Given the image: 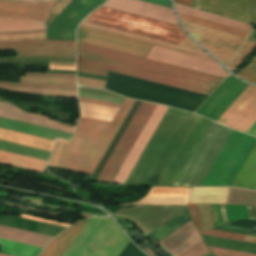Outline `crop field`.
<instances>
[{
  "instance_id": "b54c1fbb",
  "label": "crop field",
  "mask_w": 256,
  "mask_h": 256,
  "mask_svg": "<svg viewBox=\"0 0 256 256\" xmlns=\"http://www.w3.org/2000/svg\"><path fill=\"white\" fill-rule=\"evenodd\" d=\"M250 23L256 24V0H248Z\"/></svg>"
},
{
  "instance_id": "5d738f31",
  "label": "crop field",
  "mask_w": 256,
  "mask_h": 256,
  "mask_svg": "<svg viewBox=\"0 0 256 256\" xmlns=\"http://www.w3.org/2000/svg\"><path fill=\"white\" fill-rule=\"evenodd\" d=\"M216 228H222V229H228V230H233V231L245 232V233H250V234H256V230L233 227V226H227V225L219 226V227H216Z\"/></svg>"
},
{
  "instance_id": "750c4746",
  "label": "crop field",
  "mask_w": 256,
  "mask_h": 256,
  "mask_svg": "<svg viewBox=\"0 0 256 256\" xmlns=\"http://www.w3.org/2000/svg\"><path fill=\"white\" fill-rule=\"evenodd\" d=\"M0 88L11 90V91H17V92L34 93V94H42V95H49V96L77 97L76 91H69V90L31 89V88L10 87V86H4V85H0Z\"/></svg>"
},
{
  "instance_id": "730fd06b",
  "label": "crop field",
  "mask_w": 256,
  "mask_h": 256,
  "mask_svg": "<svg viewBox=\"0 0 256 256\" xmlns=\"http://www.w3.org/2000/svg\"><path fill=\"white\" fill-rule=\"evenodd\" d=\"M205 244L209 246L233 249L238 251L256 253V245L232 240L220 239L201 235Z\"/></svg>"
},
{
  "instance_id": "00972430",
  "label": "crop field",
  "mask_w": 256,
  "mask_h": 256,
  "mask_svg": "<svg viewBox=\"0 0 256 256\" xmlns=\"http://www.w3.org/2000/svg\"><path fill=\"white\" fill-rule=\"evenodd\" d=\"M0 139L50 151L54 142L0 129Z\"/></svg>"
},
{
  "instance_id": "d3111659",
  "label": "crop field",
  "mask_w": 256,
  "mask_h": 256,
  "mask_svg": "<svg viewBox=\"0 0 256 256\" xmlns=\"http://www.w3.org/2000/svg\"><path fill=\"white\" fill-rule=\"evenodd\" d=\"M227 204L256 206V192L231 188Z\"/></svg>"
},
{
  "instance_id": "0765c3eb",
  "label": "crop field",
  "mask_w": 256,
  "mask_h": 256,
  "mask_svg": "<svg viewBox=\"0 0 256 256\" xmlns=\"http://www.w3.org/2000/svg\"><path fill=\"white\" fill-rule=\"evenodd\" d=\"M220 208H221L222 220H223V223H225V222H227L225 207H224V205H220Z\"/></svg>"
},
{
  "instance_id": "8a807250",
  "label": "crop field",
  "mask_w": 256,
  "mask_h": 256,
  "mask_svg": "<svg viewBox=\"0 0 256 256\" xmlns=\"http://www.w3.org/2000/svg\"><path fill=\"white\" fill-rule=\"evenodd\" d=\"M209 124L168 108L125 184L174 186Z\"/></svg>"
},
{
  "instance_id": "f4fd0767",
  "label": "crop field",
  "mask_w": 256,
  "mask_h": 256,
  "mask_svg": "<svg viewBox=\"0 0 256 256\" xmlns=\"http://www.w3.org/2000/svg\"><path fill=\"white\" fill-rule=\"evenodd\" d=\"M77 40L110 48L113 50L145 57L151 50L152 46L79 28L77 29ZM147 58L184 67L187 69L219 76L225 78L229 73H227L217 62L155 47L148 54Z\"/></svg>"
},
{
  "instance_id": "ae1a2a85",
  "label": "crop field",
  "mask_w": 256,
  "mask_h": 256,
  "mask_svg": "<svg viewBox=\"0 0 256 256\" xmlns=\"http://www.w3.org/2000/svg\"><path fill=\"white\" fill-rule=\"evenodd\" d=\"M44 22L0 18V31L45 29Z\"/></svg>"
},
{
  "instance_id": "b80d0937",
  "label": "crop field",
  "mask_w": 256,
  "mask_h": 256,
  "mask_svg": "<svg viewBox=\"0 0 256 256\" xmlns=\"http://www.w3.org/2000/svg\"><path fill=\"white\" fill-rule=\"evenodd\" d=\"M208 252H210V251L206 248V246L203 244V242H200L199 244H197L196 246H194L193 248L186 251L185 253H183L180 256H204Z\"/></svg>"
},
{
  "instance_id": "bd1437ed",
  "label": "crop field",
  "mask_w": 256,
  "mask_h": 256,
  "mask_svg": "<svg viewBox=\"0 0 256 256\" xmlns=\"http://www.w3.org/2000/svg\"><path fill=\"white\" fill-rule=\"evenodd\" d=\"M79 27H83V28H87V29H91V30H95V31H99V32H103V33H107V34H111V35H115V36H119V37H123V38H127V39H131V40H135V41H139V42H143V43H147V44H151V45H155V46H159V47H163V48H167V49H171V50H175V51H179V52H183V53H187V54H191V55H195V56H199V57H203V58L213 60L211 57L204 56V55H201V54H197V53H193V52H189V51H185V50H181V49H177V48H173V47H169V46H165V45L145 41V40H142V39H138V38H134V37L118 34V33H113V32H109V31L97 29V28L82 25V24H80Z\"/></svg>"
},
{
  "instance_id": "028f5c9d",
  "label": "crop field",
  "mask_w": 256,
  "mask_h": 256,
  "mask_svg": "<svg viewBox=\"0 0 256 256\" xmlns=\"http://www.w3.org/2000/svg\"><path fill=\"white\" fill-rule=\"evenodd\" d=\"M238 77L256 84V56L251 63L236 74Z\"/></svg>"
},
{
  "instance_id": "425ffa30",
  "label": "crop field",
  "mask_w": 256,
  "mask_h": 256,
  "mask_svg": "<svg viewBox=\"0 0 256 256\" xmlns=\"http://www.w3.org/2000/svg\"><path fill=\"white\" fill-rule=\"evenodd\" d=\"M71 0H61L52 9L51 13L58 15L59 12L70 2Z\"/></svg>"
},
{
  "instance_id": "d8731c3e",
  "label": "crop field",
  "mask_w": 256,
  "mask_h": 256,
  "mask_svg": "<svg viewBox=\"0 0 256 256\" xmlns=\"http://www.w3.org/2000/svg\"><path fill=\"white\" fill-rule=\"evenodd\" d=\"M103 2L101 0H72L56 17L52 25L46 26V39L75 41L77 24Z\"/></svg>"
},
{
  "instance_id": "03da06ac",
  "label": "crop field",
  "mask_w": 256,
  "mask_h": 256,
  "mask_svg": "<svg viewBox=\"0 0 256 256\" xmlns=\"http://www.w3.org/2000/svg\"><path fill=\"white\" fill-rule=\"evenodd\" d=\"M104 84L105 83H103V82H97V81H91V80H85V79L78 78V85H82V86L104 89Z\"/></svg>"
},
{
  "instance_id": "d9b57169",
  "label": "crop field",
  "mask_w": 256,
  "mask_h": 256,
  "mask_svg": "<svg viewBox=\"0 0 256 256\" xmlns=\"http://www.w3.org/2000/svg\"><path fill=\"white\" fill-rule=\"evenodd\" d=\"M201 240L198 231L192 225L191 221H188L164 240L159 241V244L174 256H179Z\"/></svg>"
},
{
  "instance_id": "cbeb9de0",
  "label": "crop field",
  "mask_w": 256,
  "mask_h": 256,
  "mask_svg": "<svg viewBox=\"0 0 256 256\" xmlns=\"http://www.w3.org/2000/svg\"><path fill=\"white\" fill-rule=\"evenodd\" d=\"M103 7L179 25L171 8L140 0H109Z\"/></svg>"
},
{
  "instance_id": "1d83c4d3",
  "label": "crop field",
  "mask_w": 256,
  "mask_h": 256,
  "mask_svg": "<svg viewBox=\"0 0 256 256\" xmlns=\"http://www.w3.org/2000/svg\"><path fill=\"white\" fill-rule=\"evenodd\" d=\"M69 143L70 142L61 141V140L56 141V144L48 165L58 167V168L61 167L67 148L69 146Z\"/></svg>"
},
{
  "instance_id": "dd49c442",
  "label": "crop field",
  "mask_w": 256,
  "mask_h": 256,
  "mask_svg": "<svg viewBox=\"0 0 256 256\" xmlns=\"http://www.w3.org/2000/svg\"><path fill=\"white\" fill-rule=\"evenodd\" d=\"M84 21L203 51L177 25L103 7L90 13Z\"/></svg>"
},
{
  "instance_id": "eef30255",
  "label": "crop field",
  "mask_w": 256,
  "mask_h": 256,
  "mask_svg": "<svg viewBox=\"0 0 256 256\" xmlns=\"http://www.w3.org/2000/svg\"><path fill=\"white\" fill-rule=\"evenodd\" d=\"M1 250L4 253L16 256H38L42 251L41 248L23 245L0 239Z\"/></svg>"
},
{
  "instance_id": "3316defc",
  "label": "crop field",
  "mask_w": 256,
  "mask_h": 256,
  "mask_svg": "<svg viewBox=\"0 0 256 256\" xmlns=\"http://www.w3.org/2000/svg\"><path fill=\"white\" fill-rule=\"evenodd\" d=\"M256 120V87L249 85L217 122L245 132Z\"/></svg>"
},
{
  "instance_id": "412701ff",
  "label": "crop field",
  "mask_w": 256,
  "mask_h": 256,
  "mask_svg": "<svg viewBox=\"0 0 256 256\" xmlns=\"http://www.w3.org/2000/svg\"><path fill=\"white\" fill-rule=\"evenodd\" d=\"M155 107L156 104L141 102L123 136L121 137L100 176L98 177V182L112 183L117 171L122 165L124 159L135 143L137 137L139 136ZM166 110L167 107L157 105L139 138L128 154L126 160L118 171L113 183L124 184Z\"/></svg>"
},
{
  "instance_id": "e1f06a70",
  "label": "crop field",
  "mask_w": 256,
  "mask_h": 256,
  "mask_svg": "<svg viewBox=\"0 0 256 256\" xmlns=\"http://www.w3.org/2000/svg\"><path fill=\"white\" fill-rule=\"evenodd\" d=\"M256 46V42L253 41H247L245 46L242 48L240 53L237 55V57L234 59V61L231 63V65L228 67L232 72L233 70L241 64L243 59L252 51V49Z\"/></svg>"
},
{
  "instance_id": "214f88e0",
  "label": "crop field",
  "mask_w": 256,
  "mask_h": 256,
  "mask_svg": "<svg viewBox=\"0 0 256 256\" xmlns=\"http://www.w3.org/2000/svg\"><path fill=\"white\" fill-rule=\"evenodd\" d=\"M231 186L240 188L256 187V143L236 175Z\"/></svg>"
},
{
  "instance_id": "e1d0b9f6",
  "label": "crop field",
  "mask_w": 256,
  "mask_h": 256,
  "mask_svg": "<svg viewBox=\"0 0 256 256\" xmlns=\"http://www.w3.org/2000/svg\"><path fill=\"white\" fill-rule=\"evenodd\" d=\"M206 256H214V255L210 252Z\"/></svg>"
},
{
  "instance_id": "1d79db26",
  "label": "crop field",
  "mask_w": 256,
  "mask_h": 256,
  "mask_svg": "<svg viewBox=\"0 0 256 256\" xmlns=\"http://www.w3.org/2000/svg\"><path fill=\"white\" fill-rule=\"evenodd\" d=\"M214 206H215V212H216V217H217V223L219 225V224L222 223L221 214H220V208H219L218 204H214Z\"/></svg>"
},
{
  "instance_id": "0fb4a251",
  "label": "crop field",
  "mask_w": 256,
  "mask_h": 256,
  "mask_svg": "<svg viewBox=\"0 0 256 256\" xmlns=\"http://www.w3.org/2000/svg\"><path fill=\"white\" fill-rule=\"evenodd\" d=\"M173 1L181 3V4H185V5H188V6H192V0H173ZM193 6L197 8L196 0H193Z\"/></svg>"
},
{
  "instance_id": "c035e120",
  "label": "crop field",
  "mask_w": 256,
  "mask_h": 256,
  "mask_svg": "<svg viewBox=\"0 0 256 256\" xmlns=\"http://www.w3.org/2000/svg\"><path fill=\"white\" fill-rule=\"evenodd\" d=\"M82 24H86V25H90V26H94V27H98V28H102V29H106V30H110V31L126 34V35H131V36H135V37H139V38H143V39H147V40H151V41H155V42H159V43H163V44H167V45L183 48V49H186V50H190V51H193V52H197V53L208 55L205 52H201V51H197V50H193V49H189V48H185V47H181V46H177V45H173V44H169V43H165V42H161V41H157V40L141 37V36H137V35H133V34H129V33L121 32V31H117V30H113V29H109V28H105V27H101V26H97V25H93V24H89V23H85V22H82Z\"/></svg>"
},
{
  "instance_id": "5866460e",
  "label": "crop field",
  "mask_w": 256,
  "mask_h": 256,
  "mask_svg": "<svg viewBox=\"0 0 256 256\" xmlns=\"http://www.w3.org/2000/svg\"><path fill=\"white\" fill-rule=\"evenodd\" d=\"M200 234L256 243V238H253V237L230 234V233L220 232V231L211 230V229H207L205 231H202V232H200Z\"/></svg>"
},
{
  "instance_id": "22f410ed",
  "label": "crop field",
  "mask_w": 256,
  "mask_h": 256,
  "mask_svg": "<svg viewBox=\"0 0 256 256\" xmlns=\"http://www.w3.org/2000/svg\"><path fill=\"white\" fill-rule=\"evenodd\" d=\"M56 1L0 0V17L46 21Z\"/></svg>"
},
{
  "instance_id": "ae633e8c",
  "label": "crop field",
  "mask_w": 256,
  "mask_h": 256,
  "mask_svg": "<svg viewBox=\"0 0 256 256\" xmlns=\"http://www.w3.org/2000/svg\"><path fill=\"white\" fill-rule=\"evenodd\" d=\"M0 256H10V255H6V254H0Z\"/></svg>"
},
{
  "instance_id": "a9b5d70f",
  "label": "crop field",
  "mask_w": 256,
  "mask_h": 256,
  "mask_svg": "<svg viewBox=\"0 0 256 256\" xmlns=\"http://www.w3.org/2000/svg\"><path fill=\"white\" fill-rule=\"evenodd\" d=\"M80 104L81 116L83 118L96 119L112 122L118 108L102 106L96 104L82 103Z\"/></svg>"
},
{
  "instance_id": "28ad6ade",
  "label": "crop field",
  "mask_w": 256,
  "mask_h": 256,
  "mask_svg": "<svg viewBox=\"0 0 256 256\" xmlns=\"http://www.w3.org/2000/svg\"><path fill=\"white\" fill-rule=\"evenodd\" d=\"M14 48L17 57L58 56L75 58V42L37 40L0 43V49Z\"/></svg>"
},
{
  "instance_id": "9d1cf04e",
  "label": "crop field",
  "mask_w": 256,
  "mask_h": 256,
  "mask_svg": "<svg viewBox=\"0 0 256 256\" xmlns=\"http://www.w3.org/2000/svg\"><path fill=\"white\" fill-rule=\"evenodd\" d=\"M34 36H45V34L0 36V38H12V37H34Z\"/></svg>"
},
{
  "instance_id": "5a996713",
  "label": "crop field",
  "mask_w": 256,
  "mask_h": 256,
  "mask_svg": "<svg viewBox=\"0 0 256 256\" xmlns=\"http://www.w3.org/2000/svg\"><path fill=\"white\" fill-rule=\"evenodd\" d=\"M182 24L194 40L213 54L226 67L245 42V39L213 31L207 28L186 22H182Z\"/></svg>"
},
{
  "instance_id": "25e5ab78",
  "label": "crop field",
  "mask_w": 256,
  "mask_h": 256,
  "mask_svg": "<svg viewBox=\"0 0 256 256\" xmlns=\"http://www.w3.org/2000/svg\"><path fill=\"white\" fill-rule=\"evenodd\" d=\"M45 33V30L0 32V35Z\"/></svg>"
},
{
  "instance_id": "73cf0c24",
  "label": "crop field",
  "mask_w": 256,
  "mask_h": 256,
  "mask_svg": "<svg viewBox=\"0 0 256 256\" xmlns=\"http://www.w3.org/2000/svg\"><path fill=\"white\" fill-rule=\"evenodd\" d=\"M21 217H22V218H26V219H31V220L39 221V222L48 223V224H53V225H59V226H64V227L69 226L68 224H63V223H58V222H53V221L38 219V218L29 217V216H24V215H21Z\"/></svg>"
},
{
  "instance_id": "4a817a6b",
  "label": "crop field",
  "mask_w": 256,
  "mask_h": 256,
  "mask_svg": "<svg viewBox=\"0 0 256 256\" xmlns=\"http://www.w3.org/2000/svg\"><path fill=\"white\" fill-rule=\"evenodd\" d=\"M190 188L153 187L146 197L136 203L187 204Z\"/></svg>"
},
{
  "instance_id": "0bd39190",
  "label": "crop field",
  "mask_w": 256,
  "mask_h": 256,
  "mask_svg": "<svg viewBox=\"0 0 256 256\" xmlns=\"http://www.w3.org/2000/svg\"><path fill=\"white\" fill-rule=\"evenodd\" d=\"M209 247V246H208ZM209 249L216 255V256H256V254L232 251L227 249L209 247Z\"/></svg>"
},
{
  "instance_id": "78b8030e",
  "label": "crop field",
  "mask_w": 256,
  "mask_h": 256,
  "mask_svg": "<svg viewBox=\"0 0 256 256\" xmlns=\"http://www.w3.org/2000/svg\"><path fill=\"white\" fill-rule=\"evenodd\" d=\"M77 77H79V76H77ZM79 78H85V77H79ZM85 79H91V78H85ZM91 80H97V79H91ZM97 81H103V80H97ZM103 82H105V81H103Z\"/></svg>"
},
{
  "instance_id": "447ae74e",
  "label": "crop field",
  "mask_w": 256,
  "mask_h": 256,
  "mask_svg": "<svg viewBox=\"0 0 256 256\" xmlns=\"http://www.w3.org/2000/svg\"><path fill=\"white\" fill-rule=\"evenodd\" d=\"M246 133L252 134L256 136V121L253 125L246 131Z\"/></svg>"
},
{
  "instance_id": "120bbe31",
  "label": "crop field",
  "mask_w": 256,
  "mask_h": 256,
  "mask_svg": "<svg viewBox=\"0 0 256 256\" xmlns=\"http://www.w3.org/2000/svg\"><path fill=\"white\" fill-rule=\"evenodd\" d=\"M20 82L76 84V79L21 76Z\"/></svg>"
},
{
  "instance_id": "d23c7cc5",
  "label": "crop field",
  "mask_w": 256,
  "mask_h": 256,
  "mask_svg": "<svg viewBox=\"0 0 256 256\" xmlns=\"http://www.w3.org/2000/svg\"><path fill=\"white\" fill-rule=\"evenodd\" d=\"M26 75L76 78L75 75L54 74V73H26Z\"/></svg>"
},
{
  "instance_id": "1f2cbd36",
  "label": "crop field",
  "mask_w": 256,
  "mask_h": 256,
  "mask_svg": "<svg viewBox=\"0 0 256 256\" xmlns=\"http://www.w3.org/2000/svg\"><path fill=\"white\" fill-rule=\"evenodd\" d=\"M37 39H45V37L0 39V42H5V41H21V40H37Z\"/></svg>"
},
{
  "instance_id": "7b73153f",
  "label": "crop field",
  "mask_w": 256,
  "mask_h": 256,
  "mask_svg": "<svg viewBox=\"0 0 256 256\" xmlns=\"http://www.w3.org/2000/svg\"><path fill=\"white\" fill-rule=\"evenodd\" d=\"M211 229H216V228H211ZM217 230H222V229H217ZM222 231H228V230H222ZM228 232H233V231H228ZM233 233H239V232H233ZM239 234L250 235V234H245V233H239ZM250 236L256 237V235H250Z\"/></svg>"
},
{
  "instance_id": "89e229c0",
  "label": "crop field",
  "mask_w": 256,
  "mask_h": 256,
  "mask_svg": "<svg viewBox=\"0 0 256 256\" xmlns=\"http://www.w3.org/2000/svg\"><path fill=\"white\" fill-rule=\"evenodd\" d=\"M144 1H148V2H151V3H155V4L167 6V7H171V4H170L169 0H144Z\"/></svg>"
},
{
  "instance_id": "dbb93151",
  "label": "crop field",
  "mask_w": 256,
  "mask_h": 256,
  "mask_svg": "<svg viewBox=\"0 0 256 256\" xmlns=\"http://www.w3.org/2000/svg\"><path fill=\"white\" fill-rule=\"evenodd\" d=\"M248 216L251 220H256V207L247 206Z\"/></svg>"
},
{
  "instance_id": "c21b1889",
  "label": "crop field",
  "mask_w": 256,
  "mask_h": 256,
  "mask_svg": "<svg viewBox=\"0 0 256 256\" xmlns=\"http://www.w3.org/2000/svg\"><path fill=\"white\" fill-rule=\"evenodd\" d=\"M188 209H189V213H190V216H191V219H192L194 225L196 226L198 231H200L201 228H200V222H199L196 204H188Z\"/></svg>"
},
{
  "instance_id": "d32e631a",
  "label": "crop field",
  "mask_w": 256,
  "mask_h": 256,
  "mask_svg": "<svg viewBox=\"0 0 256 256\" xmlns=\"http://www.w3.org/2000/svg\"><path fill=\"white\" fill-rule=\"evenodd\" d=\"M1 84L19 86V87H31V88H50V89H70L76 90V85H62V84H34V83H12V82H3Z\"/></svg>"
},
{
  "instance_id": "ac0d7876",
  "label": "crop field",
  "mask_w": 256,
  "mask_h": 256,
  "mask_svg": "<svg viewBox=\"0 0 256 256\" xmlns=\"http://www.w3.org/2000/svg\"><path fill=\"white\" fill-rule=\"evenodd\" d=\"M76 67L80 73L106 77L112 71L206 95L223 80L78 41Z\"/></svg>"
},
{
  "instance_id": "5142ce71",
  "label": "crop field",
  "mask_w": 256,
  "mask_h": 256,
  "mask_svg": "<svg viewBox=\"0 0 256 256\" xmlns=\"http://www.w3.org/2000/svg\"><path fill=\"white\" fill-rule=\"evenodd\" d=\"M0 117L18 120L42 127H47L55 130H60L73 134L75 127L73 125L64 124L56 120L50 119L41 115L28 114L20 109L6 103L0 102Z\"/></svg>"
},
{
  "instance_id": "d1516ede",
  "label": "crop field",
  "mask_w": 256,
  "mask_h": 256,
  "mask_svg": "<svg viewBox=\"0 0 256 256\" xmlns=\"http://www.w3.org/2000/svg\"><path fill=\"white\" fill-rule=\"evenodd\" d=\"M174 6H175L176 10H178V11H182V12H185V13H188V14H192V15L202 17V18H205V19H208V20H212V21H215V22H219V23H222V24L233 26V27L243 29V30H246V31L252 32V30H253L251 28V26L247 23L239 22V21H236V20H232V19H229V18L221 17V16L214 15V14H210V13H207V12L192 9V8L185 7V6L178 5V4H174ZM178 14H179V17L182 21H186V22H189V23H193V24H196V25H200V26H203V27H207V28H210V29H214V30H217V31H220V32H224V33L231 34V35L238 36V37L245 38V39H247V37L250 35V32H246V31H243V30H239V29L232 28V27H229V26H226V25H222V24L215 23V22H212V21L197 18V17H194V16L186 15V14H183V13L178 12Z\"/></svg>"
},
{
  "instance_id": "34b2d1b8",
  "label": "crop field",
  "mask_w": 256,
  "mask_h": 256,
  "mask_svg": "<svg viewBox=\"0 0 256 256\" xmlns=\"http://www.w3.org/2000/svg\"><path fill=\"white\" fill-rule=\"evenodd\" d=\"M79 101L120 107L113 122L80 118L61 168L93 173L114 135L129 112L134 100L122 104L79 98Z\"/></svg>"
},
{
  "instance_id": "4177f3b9",
  "label": "crop field",
  "mask_w": 256,
  "mask_h": 256,
  "mask_svg": "<svg viewBox=\"0 0 256 256\" xmlns=\"http://www.w3.org/2000/svg\"><path fill=\"white\" fill-rule=\"evenodd\" d=\"M188 220H190L188 211L185 210L184 212L174 217L167 223L163 224L153 232L149 233L147 237L158 243L159 241L164 239L166 236L171 234L173 231H175L177 228H179L184 223H186Z\"/></svg>"
},
{
  "instance_id": "db79e9e6",
  "label": "crop field",
  "mask_w": 256,
  "mask_h": 256,
  "mask_svg": "<svg viewBox=\"0 0 256 256\" xmlns=\"http://www.w3.org/2000/svg\"><path fill=\"white\" fill-rule=\"evenodd\" d=\"M50 69L75 70V68L49 67Z\"/></svg>"
},
{
  "instance_id": "dafd665d",
  "label": "crop field",
  "mask_w": 256,
  "mask_h": 256,
  "mask_svg": "<svg viewBox=\"0 0 256 256\" xmlns=\"http://www.w3.org/2000/svg\"><path fill=\"white\" fill-rule=\"evenodd\" d=\"M0 163L42 173L47 162L0 151Z\"/></svg>"
},
{
  "instance_id": "733c2abd",
  "label": "crop field",
  "mask_w": 256,
  "mask_h": 256,
  "mask_svg": "<svg viewBox=\"0 0 256 256\" xmlns=\"http://www.w3.org/2000/svg\"><path fill=\"white\" fill-rule=\"evenodd\" d=\"M198 8L248 23L246 0H197Z\"/></svg>"
},
{
  "instance_id": "bc2a9ffb",
  "label": "crop field",
  "mask_w": 256,
  "mask_h": 256,
  "mask_svg": "<svg viewBox=\"0 0 256 256\" xmlns=\"http://www.w3.org/2000/svg\"><path fill=\"white\" fill-rule=\"evenodd\" d=\"M0 238L44 248L52 237L0 226Z\"/></svg>"
},
{
  "instance_id": "0f1d7ab4",
  "label": "crop field",
  "mask_w": 256,
  "mask_h": 256,
  "mask_svg": "<svg viewBox=\"0 0 256 256\" xmlns=\"http://www.w3.org/2000/svg\"><path fill=\"white\" fill-rule=\"evenodd\" d=\"M81 217L88 218V217H91V216H88V215H86V214L82 213Z\"/></svg>"
},
{
  "instance_id": "92a150f3",
  "label": "crop field",
  "mask_w": 256,
  "mask_h": 256,
  "mask_svg": "<svg viewBox=\"0 0 256 256\" xmlns=\"http://www.w3.org/2000/svg\"><path fill=\"white\" fill-rule=\"evenodd\" d=\"M88 220L89 219L78 222L69 227L67 230L53 239L40 256H61Z\"/></svg>"
},
{
  "instance_id": "e52e79f7",
  "label": "crop field",
  "mask_w": 256,
  "mask_h": 256,
  "mask_svg": "<svg viewBox=\"0 0 256 256\" xmlns=\"http://www.w3.org/2000/svg\"><path fill=\"white\" fill-rule=\"evenodd\" d=\"M230 132L211 122L175 186H200Z\"/></svg>"
}]
</instances>
